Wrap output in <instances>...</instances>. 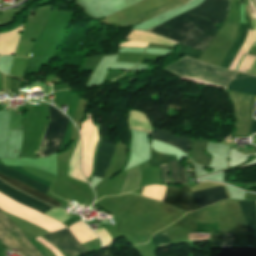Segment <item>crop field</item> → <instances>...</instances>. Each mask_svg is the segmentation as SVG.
I'll return each mask as SVG.
<instances>
[{"instance_id": "15", "label": "crop field", "mask_w": 256, "mask_h": 256, "mask_svg": "<svg viewBox=\"0 0 256 256\" xmlns=\"http://www.w3.org/2000/svg\"><path fill=\"white\" fill-rule=\"evenodd\" d=\"M172 165V174H171V178L173 179L174 182L178 183V184H183V183H187L185 180V173H184V168L181 167V164L179 163V175L182 179L183 182L180 181V179L178 178V174H177V169H176V164L177 162L172 161L170 162Z\"/></svg>"}, {"instance_id": "21", "label": "crop field", "mask_w": 256, "mask_h": 256, "mask_svg": "<svg viewBox=\"0 0 256 256\" xmlns=\"http://www.w3.org/2000/svg\"><path fill=\"white\" fill-rule=\"evenodd\" d=\"M255 117H256V113H255Z\"/></svg>"}, {"instance_id": "12", "label": "crop field", "mask_w": 256, "mask_h": 256, "mask_svg": "<svg viewBox=\"0 0 256 256\" xmlns=\"http://www.w3.org/2000/svg\"><path fill=\"white\" fill-rule=\"evenodd\" d=\"M0 178L2 180H4L5 182H7L8 184H10V185H12V186H14V187L24 191L25 193H27V194H29V195H31V196H33V197H35V198H37V199H39L41 201L47 202V203H49V204H51V205H53V206H55L57 208H59L60 205L62 204V203L54 200L53 198H51V197H49V196H47V195H45V194L35 190V189H32V188L26 186L25 184H23V183H21L19 181L13 180V179L8 178V177H5V176H3L1 174H0Z\"/></svg>"}, {"instance_id": "11", "label": "crop field", "mask_w": 256, "mask_h": 256, "mask_svg": "<svg viewBox=\"0 0 256 256\" xmlns=\"http://www.w3.org/2000/svg\"><path fill=\"white\" fill-rule=\"evenodd\" d=\"M228 90L256 97V78L239 73Z\"/></svg>"}, {"instance_id": "17", "label": "crop field", "mask_w": 256, "mask_h": 256, "mask_svg": "<svg viewBox=\"0 0 256 256\" xmlns=\"http://www.w3.org/2000/svg\"><path fill=\"white\" fill-rule=\"evenodd\" d=\"M161 167V172H162V180L165 183H172L170 176H169V164H165L160 166Z\"/></svg>"}, {"instance_id": "7", "label": "crop field", "mask_w": 256, "mask_h": 256, "mask_svg": "<svg viewBox=\"0 0 256 256\" xmlns=\"http://www.w3.org/2000/svg\"><path fill=\"white\" fill-rule=\"evenodd\" d=\"M0 192L5 194L6 196L10 197L11 199L22 203L30 208L38 210L40 212H45L50 208H53L39 200H36L12 187L5 184L3 181L0 180Z\"/></svg>"}, {"instance_id": "13", "label": "crop field", "mask_w": 256, "mask_h": 256, "mask_svg": "<svg viewBox=\"0 0 256 256\" xmlns=\"http://www.w3.org/2000/svg\"><path fill=\"white\" fill-rule=\"evenodd\" d=\"M155 131L167 133V134H170L172 136L179 137V138H182V139H185V140L189 141V145H188V149H187V144H188L187 141H184V140L179 139V138L172 137V136L167 135V134L158 133V132H156V135H155V139L156 140H160V141H163V142H165V143H167L169 145L176 146V147L180 148L184 152H186V149H187L186 154L189 153V149H190L191 142H192L191 140H188L186 138L174 135L172 133H168V132H164V131H161V130H157V129H154V128H153L152 136H151L152 139L154 138Z\"/></svg>"}, {"instance_id": "20", "label": "crop field", "mask_w": 256, "mask_h": 256, "mask_svg": "<svg viewBox=\"0 0 256 256\" xmlns=\"http://www.w3.org/2000/svg\"><path fill=\"white\" fill-rule=\"evenodd\" d=\"M91 1H94V0H86L87 3H88V2H91Z\"/></svg>"}, {"instance_id": "19", "label": "crop field", "mask_w": 256, "mask_h": 256, "mask_svg": "<svg viewBox=\"0 0 256 256\" xmlns=\"http://www.w3.org/2000/svg\"><path fill=\"white\" fill-rule=\"evenodd\" d=\"M256 132V120L253 119L249 134Z\"/></svg>"}, {"instance_id": "5", "label": "crop field", "mask_w": 256, "mask_h": 256, "mask_svg": "<svg viewBox=\"0 0 256 256\" xmlns=\"http://www.w3.org/2000/svg\"><path fill=\"white\" fill-rule=\"evenodd\" d=\"M43 236L69 256H77L87 253L85 248L74 238L68 228Z\"/></svg>"}, {"instance_id": "10", "label": "crop field", "mask_w": 256, "mask_h": 256, "mask_svg": "<svg viewBox=\"0 0 256 256\" xmlns=\"http://www.w3.org/2000/svg\"><path fill=\"white\" fill-rule=\"evenodd\" d=\"M199 208L227 199L222 186L192 193Z\"/></svg>"}, {"instance_id": "2", "label": "crop field", "mask_w": 256, "mask_h": 256, "mask_svg": "<svg viewBox=\"0 0 256 256\" xmlns=\"http://www.w3.org/2000/svg\"><path fill=\"white\" fill-rule=\"evenodd\" d=\"M0 240L11 250L16 248L25 256H42L23 236L20 229L0 212Z\"/></svg>"}, {"instance_id": "3", "label": "crop field", "mask_w": 256, "mask_h": 256, "mask_svg": "<svg viewBox=\"0 0 256 256\" xmlns=\"http://www.w3.org/2000/svg\"><path fill=\"white\" fill-rule=\"evenodd\" d=\"M49 111H50L51 123L47 129L38 157L46 156V153L52 138V134L60 113V111L55 109L53 106H50ZM69 121L70 120L64 114L60 113L47 156H50L53 153H56L58 151Z\"/></svg>"}, {"instance_id": "6", "label": "crop field", "mask_w": 256, "mask_h": 256, "mask_svg": "<svg viewBox=\"0 0 256 256\" xmlns=\"http://www.w3.org/2000/svg\"><path fill=\"white\" fill-rule=\"evenodd\" d=\"M163 201L189 212L198 209V206L191 195L189 185L179 188L168 186Z\"/></svg>"}, {"instance_id": "8", "label": "crop field", "mask_w": 256, "mask_h": 256, "mask_svg": "<svg viewBox=\"0 0 256 256\" xmlns=\"http://www.w3.org/2000/svg\"><path fill=\"white\" fill-rule=\"evenodd\" d=\"M249 230L247 245L256 247V201H238Z\"/></svg>"}, {"instance_id": "16", "label": "crop field", "mask_w": 256, "mask_h": 256, "mask_svg": "<svg viewBox=\"0 0 256 256\" xmlns=\"http://www.w3.org/2000/svg\"><path fill=\"white\" fill-rule=\"evenodd\" d=\"M152 240L155 248L171 244L168 235L165 233L153 236Z\"/></svg>"}, {"instance_id": "1", "label": "crop field", "mask_w": 256, "mask_h": 256, "mask_svg": "<svg viewBox=\"0 0 256 256\" xmlns=\"http://www.w3.org/2000/svg\"><path fill=\"white\" fill-rule=\"evenodd\" d=\"M229 0H204L202 4L186 13L206 17L215 23L225 21ZM181 14L146 32L159 34L204 50L216 34L213 22L208 19Z\"/></svg>"}, {"instance_id": "18", "label": "crop field", "mask_w": 256, "mask_h": 256, "mask_svg": "<svg viewBox=\"0 0 256 256\" xmlns=\"http://www.w3.org/2000/svg\"><path fill=\"white\" fill-rule=\"evenodd\" d=\"M246 72V71H245ZM245 74V73H244ZM246 74L248 75H252L256 77V59L254 61V63L252 64L251 68L249 71L246 72Z\"/></svg>"}, {"instance_id": "14", "label": "crop field", "mask_w": 256, "mask_h": 256, "mask_svg": "<svg viewBox=\"0 0 256 256\" xmlns=\"http://www.w3.org/2000/svg\"><path fill=\"white\" fill-rule=\"evenodd\" d=\"M0 173L5 175V176L12 177L16 180H19V181H21V182H23V183H25V184L33 187V188L45 193V194L47 193V191L49 189L48 187H46L42 184H39V183L33 181L32 179L28 178L27 176L15 171L11 168H8L4 165H0Z\"/></svg>"}, {"instance_id": "9", "label": "crop field", "mask_w": 256, "mask_h": 256, "mask_svg": "<svg viewBox=\"0 0 256 256\" xmlns=\"http://www.w3.org/2000/svg\"><path fill=\"white\" fill-rule=\"evenodd\" d=\"M115 147L102 140L97 155V165L94 176L103 178L113 157Z\"/></svg>"}, {"instance_id": "22", "label": "crop field", "mask_w": 256, "mask_h": 256, "mask_svg": "<svg viewBox=\"0 0 256 256\" xmlns=\"http://www.w3.org/2000/svg\"><path fill=\"white\" fill-rule=\"evenodd\" d=\"M68 215H71V214H68Z\"/></svg>"}, {"instance_id": "4", "label": "crop field", "mask_w": 256, "mask_h": 256, "mask_svg": "<svg viewBox=\"0 0 256 256\" xmlns=\"http://www.w3.org/2000/svg\"><path fill=\"white\" fill-rule=\"evenodd\" d=\"M249 3H250V5H251V7H252V9L255 13V16H256V10H255L253 4L250 2V0H249ZM247 33H248V28H246V27H244L243 25L240 24L238 37H237L235 43L233 44V46L231 47V49L229 50V52L227 53L222 65H221L222 68L229 69L235 55L237 54L239 49L244 44V42L246 40V37H247ZM255 36H256V32H253V31L249 30L247 41L245 42V44L243 45V47L241 48V50L237 54L232 66L230 67V70L234 71L241 55L244 54V53L247 54V52L249 51L250 47L252 46V44L255 40Z\"/></svg>"}]
</instances>
